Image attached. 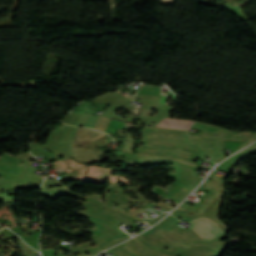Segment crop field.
Wrapping results in <instances>:
<instances>
[{
	"label": "crop field",
	"instance_id": "2",
	"mask_svg": "<svg viewBox=\"0 0 256 256\" xmlns=\"http://www.w3.org/2000/svg\"><path fill=\"white\" fill-rule=\"evenodd\" d=\"M194 122L192 121H185V120H176V119H167L164 118L158 125L159 127H168V128H177V129H185L187 130L188 127Z\"/></svg>",
	"mask_w": 256,
	"mask_h": 256
},
{
	"label": "crop field",
	"instance_id": "4",
	"mask_svg": "<svg viewBox=\"0 0 256 256\" xmlns=\"http://www.w3.org/2000/svg\"><path fill=\"white\" fill-rule=\"evenodd\" d=\"M161 87L143 84L138 93L159 96Z\"/></svg>",
	"mask_w": 256,
	"mask_h": 256
},
{
	"label": "crop field",
	"instance_id": "6",
	"mask_svg": "<svg viewBox=\"0 0 256 256\" xmlns=\"http://www.w3.org/2000/svg\"><path fill=\"white\" fill-rule=\"evenodd\" d=\"M192 127L204 129V130H207V131H213V130H216V129H221V128H217V127H214V126H211V125L199 123V122L193 124Z\"/></svg>",
	"mask_w": 256,
	"mask_h": 256
},
{
	"label": "crop field",
	"instance_id": "5",
	"mask_svg": "<svg viewBox=\"0 0 256 256\" xmlns=\"http://www.w3.org/2000/svg\"><path fill=\"white\" fill-rule=\"evenodd\" d=\"M108 121H109L108 118H104V117L101 116L97 125H96V127H95V129L103 132L107 123H108ZM131 125L132 124L126 122L123 129H129L131 127Z\"/></svg>",
	"mask_w": 256,
	"mask_h": 256
},
{
	"label": "crop field",
	"instance_id": "1",
	"mask_svg": "<svg viewBox=\"0 0 256 256\" xmlns=\"http://www.w3.org/2000/svg\"><path fill=\"white\" fill-rule=\"evenodd\" d=\"M190 223L192 224L190 228L197 232L206 241L225 233L208 217H198L190 221Z\"/></svg>",
	"mask_w": 256,
	"mask_h": 256
},
{
	"label": "crop field",
	"instance_id": "3",
	"mask_svg": "<svg viewBox=\"0 0 256 256\" xmlns=\"http://www.w3.org/2000/svg\"><path fill=\"white\" fill-rule=\"evenodd\" d=\"M102 133L81 128L76 141H91L101 137Z\"/></svg>",
	"mask_w": 256,
	"mask_h": 256
},
{
	"label": "crop field",
	"instance_id": "7",
	"mask_svg": "<svg viewBox=\"0 0 256 256\" xmlns=\"http://www.w3.org/2000/svg\"><path fill=\"white\" fill-rule=\"evenodd\" d=\"M137 158H135V160H124V164L123 167H133L135 164H125V161H136ZM137 164V163H136Z\"/></svg>",
	"mask_w": 256,
	"mask_h": 256
}]
</instances>
